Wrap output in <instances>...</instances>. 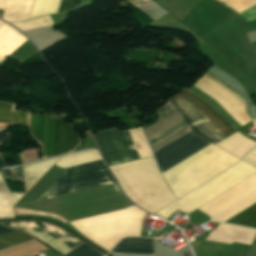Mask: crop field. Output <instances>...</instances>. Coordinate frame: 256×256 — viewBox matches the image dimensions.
I'll list each match as a JSON object with an SVG mask.
<instances>
[{"instance_id":"crop-field-1","label":"crop field","mask_w":256,"mask_h":256,"mask_svg":"<svg viewBox=\"0 0 256 256\" xmlns=\"http://www.w3.org/2000/svg\"><path fill=\"white\" fill-rule=\"evenodd\" d=\"M116 167L135 197L128 190ZM116 167L111 166L110 169L123 192L142 209L155 213L153 210L158 211L175 201L174 196L160 177L152 157L119 164ZM133 197L153 210L143 206Z\"/></svg>"},{"instance_id":"crop-field-2","label":"crop field","mask_w":256,"mask_h":256,"mask_svg":"<svg viewBox=\"0 0 256 256\" xmlns=\"http://www.w3.org/2000/svg\"><path fill=\"white\" fill-rule=\"evenodd\" d=\"M239 160L211 144L162 175L171 191L179 198Z\"/></svg>"},{"instance_id":"crop-field-3","label":"crop field","mask_w":256,"mask_h":256,"mask_svg":"<svg viewBox=\"0 0 256 256\" xmlns=\"http://www.w3.org/2000/svg\"><path fill=\"white\" fill-rule=\"evenodd\" d=\"M146 213L136 207L69 222L79 233L106 251L123 237L139 236Z\"/></svg>"},{"instance_id":"crop-field-4","label":"crop field","mask_w":256,"mask_h":256,"mask_svg":"<svg viewBox=\"0 0 256 256\" xmlns=\"http://www.w3.org/2000/svg\"><path fill=\"white\" fill-rule=\"evenodd\" d=\"M196 109H198L225 137L236 131L223 118H221L205 101L184 88L176 93ZM173 96L168 101L174 106L193 133L215 145L225 138L204 116L194 107Z\"/></svg>"},{"instance_id":"crop-field-5","label":"crop field","mask_w":256,"mask_h":256,"mask_svg":"<svg viewBox=\"0 0 256 256\" xmlns=\"http://www.w3.org/2000/svg\"><path fill=\"white\" fill-rule=\"evenodd\" d=\"M255 172L256 168L241 161L156 214L165 219L176 210L187 214Z\"/></svg>"},{"instance_id":"crop-field-6","label":"crop field","mask_w":256,"mask_h":256,"mask_svg":"<svg viewBox=\"0 0 256 256\" xmlns=\"http://www.w3.org/2000/svg\"><path fill=\"white\" fill-rule=\"evenodd\" d=\"M128 131L140 157L152 156L140 128L137 127ZM128 131H119L118 127H115L94 134L107 165L111 166L140 158Z\"/></svg>"},{"instance_id":"crop-field-7","label":"crop field","mask_w":256,"mask_h":256,"mask_svg":"<svg viewBox=\"0 0 256 256\" xmlns=\"http://www.w3.org/2000/svg\"><path fill=\"white\" fill-rule=\"evenodd\" d=\"M113 183L103 161L86 163L67 168L36 201Z\"/></svg>"},{"instance_id":"crop-field-8","label":"crop field","mask_w":256,"mask_h":256,"mask_svg":"<svg viewBox=\"0 0 256 256\" xmlns=\"http://www.w3.org/2000/svg\"><path fill=\"white\" fill-rule=\"evenodd\" d=\"M31 136L42 146V158L77 148L79 139L72 126L51 117L30 115Z\"/></svg>"},{"instance_id":"crop-field-9","label":"crop field","mask_w":256,"mask_h":256,"mask_svg":"<svg viewBox=\"0 0 256 256\" xmlns=\"http://www.w3.org/2000/svg\"><path fill=\"white\" fill-rule=\"evenodd\" d=\"M190 133L192 132L190 131L186 133L185 135L181 136L180 138L176 139L175 141L171 142L170 144L153 154L158 153L159 151L165 149L166 147L170 146L171 144L175 143L176 141L180 140L181 138L187 136ZM209 144L211 143L195 136L192 133L187 137L181 139L180 141L176 142L175 144L171 145L170 147L166 148L165 150L154 155V157L158 163L161 172H164Z\"/></svg>"},{"instance_id":"crop-field-10","label":"crop field","mask_w":256,"mask_h":256,"mask_svg":"<svg viewBox=\"0 0 256 256\" xmlns=\"http://www.w3.org/2000/svg\"><path fill=\"white\" fill-rule=\"evenodd\" d=\"M59 158L24 166L25 190L27 191ZM22 196L19 194H9L0 175V218L14 217L12 206Z\"/></svg>"},{"instance_id":"crop-field-11","label":"crop field","mask_w":256,"mask_h":256,"mask_svg":"<svg viewBox=\"0 0 256 256\" xmlns=\"http://www.w3.org/2000/svg\"><path fill=\"white\" fill-rule=\"evenodd\" d=\"M4 225L11 226L13 228L23 229V228H33L36 229L54 240L58 241L62 245L66 246L69 249H74L79 244L83 243L76 238H74L69 233L46 223L41 222H12V223H3Z\"/></svg>"},{"instance_id":"crop-field-12","label":"crop field","mask_w":256,"mask_h":256,"mask_svg":"<svg viewBox=\"0 0 256 256\" xmlns=\"http://www.w3.org/2000/svg\"><path fill=\"white\" fill-rule=\"evenodd\" d=\"M33 0H0V9L4 10L3 19L20 21L29 18Z\"/></svg>"},{"instance_id":"crop-field-13","label":"crop field","mask_w":256,"mask_h":256,"mask_svg":"<svg viewBox=\"0 0 256 256\" xmlns=\"http://www.w3.org/2000/svg\"><path fill=\"white\" fill-rule=\"evenodd\" d=\"M25 39L18 31L4 24L0 27V62L18 48Z\"/></svg>"},{"instance_id":"crop-field-14","label":"crop field","mask_w":256,"mask_h":256,"mask_svg":"<svg viewBox=\"0 0 256 256\" xmlns=\"http://www.w3.org/2000/svg\"><path fill=\"white\" fill-rule=\"evenodd\" d=\"M154 239L124 238L117 246L153 248ZM115 247L112 252L153 254V249Z\"/></svg>"},{"instance_id":"crop-field-15","label":"crop field","mask_w":256,"mask_h":256,"mask_svg":"<svg viewBox=\"0 0 256 256\" xmlns=\"http://www.w3.org/2000/svg\"><path fill=\"white\" fill-rule=\"evenodd\" d=\"M101 159L99 156V153L96 149L76 153V154H71L62 157L56 165L65 168L73 165H78L86 162H91L95 160Z\"/></svg>"},{"instance_id":"crop-field-16","label":"crop field","mask_w":256,"mask_h":256,"mask_svg":"<svg viewBox=\"0 0 256 256\" xmlns=\"http://www.w3.org/2000/svg\"><path fill=\"white\" fill-rule=\"evenodd\" d=\"M29 113H20L14 111V105L0 103V122L24 123L27 124Z\"/></svg>"},{"instance_id":"crop-field-17","label":"crop field","mask_w":256,"mask_h":256,"mask_svg":"<svg viewBox=\"0 0 256 256\" xmlns=\"http://www.w3.org/2000/svg\"><path fill=\"white\" fill-rule=\"evenodd\" d=\"M11 231L10 229H6L0 227V234ZM33 239L31 236L20 232V231H11L5 234L0 235V249Z\"/></svg>"},{"instance_id":"crop-field-18","label":"crop field","mask_w":256,"mask_h":256,"mask_svg":"<svg viewBox=\"0 0 256 256\" xmlns=\"http://www.w3.org/2000/svg\"><path fill=\"white\" fill-rule=\"evenodd\" d=\"M59 2L60 0H34L30 18L56 13Z\"/></svg>"},{"instance_id":"crop-field-19","label":"crop field","mask_w":256,"mask_h":256,"mask_svg":"<svg viewBox=\"0 0 256 256\" xmlns=\"http://www.w3.org/2000/svg\"><path fill=\"white\" fill-rule=\"evenodd\" d=\"M227 223L239 224L248 227H255L256 226V204L248 208L247 210L243 211L242 213L238 214L237 216L233 217ZM256 228V227H255Z\"/></svg>"},{"instance_id":"crop-field-20","label":"crop field","mask_w":256,"mask_h":256,"mask_svg":"<svg viewBox=\"0 0 256 256\" xmlns=\"http://www.w3.org/2000/svg\"><path fill=\"white\" fill-rule=\"evenodd\" d=\"M228 7L232 8L236 12L240 13L254 5H256V0H218Z\"/></svg>"},{"instance_id":"crop-field-21","label":"crop field","mask_w":256,"mask_h":256,"mask_svg":"<svg viewBox=\"0 0 256 256\" xmlns=\"http://www.w3.org/2000/svg\"><path fill=\"white\" fill-rule=\"evenodd\" d=\"M67 256H100V254L98 251L83 243Z\"/></svg>"},{"instance_id":"crop-field-22","label":"crop field","mask_w":256,"mask_h":256,"mask_svg":"<svg viewBox=\"0 0 256 256\" xmlns=\"http://www.w3.org/2000/svg\"><path fill=\"white\" fill-rule=\"evenodd\" d=\"M82 0H61L57 13L77 9Z\"/></svg>"},{"instance_id":"crop-field-23","label":"crop field","mask_w":256,"mask_h":256,"mask_svg":"<svg viewBox=\"0 0 256 256\" xmlns=\"http://www.w3.org/2000/svg\"><path fill=\"white\" fill-rule=\"evenodd\" d=\"M128 1L131 2L132 4H134L135 6L139 7L143 3H145L147 0H128Z\"/></svg>"},{"instance_id":"crop-field-24","label":"crop field","mask_w":256,"mask_h":256,"mask_svg":"<svg viewBox=\"0 0 256 256\" xmlns=\"http://www.w3.org/2000/svg\"><path fill=\"white\" fill-rule=\"evenodd\" d=\"M7 138H9V137H8V135H7L6 131H5V129L1 130V131H0V142H1L2 140H4V139H7Z\"/></svg>"},{"instance_id":"crop-field-25","label":"crop field","mask_w":256,"mask_h":256,"mask_svg":"<svg viewBox=\"0 0 256 256\" xmlns=\"http://www.w3.org/2000/svg\"><path fill=\"white\" fill-rule=\"evenodd\" d=\"M2 167H5V166H4V164H3V162H2V160L0 158V168H2Z\"/></svg>"},{"instance_id":"crop-field-26","label":"crop field","mask_w":256,"mask_h":256,"mask_svg":"<svg viewBox=\"0 0 256 256\" xmlns=\"http://www.w3.org/2000/svg\"><path fill=\"white\" fill-rule=\"evenodd\" d=\"M3 24H4V22H1V21H0V26L3 25Z\"/></svg>"}]
</instances>
